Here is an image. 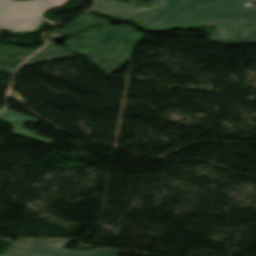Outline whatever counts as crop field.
I'll list each match as a JSON object with an SVG mask.
<instances>
[{
  "instance_id": "1",
  "label": "crop field",
  "mask_w": 256,
  "mask_h": 256,
  "mask_svg": "<svg viewBox=\"0 0 256 256\" xmlns=\"http://www.w3.org/2000/svg\"><path fill=\"white\" fill-rule=\"evenodd\" d=\"M145 35L129 25L90 29L69 41V49L84 55L105 73H113L129 61L136 43ZM88 59V60H89Z\"/></svg>"
},
{
  "instance_id": "2",
  "label": "crop field",
  "mask_w": 256,
  "mask_h": 256,
  "mask_svg": "<svg viewBox=\"0 0 256 256\" xmlns=\"http://www.w3.org/2000/svg\"><path fill=\"white\" fill-rule=\"evenodd\" d=\"M153 5L142 9L110 0H94L89 12L113 17L129 18L150 29L201 26V20L189 0H150Z\"/></svg>"
},
{
  "instance_id": "3",
  "label": "crop field",
  "mask_w": 256,
  "mask_h": 256,
  "mask_svg": "<svg viewBox=\"0 0 256 256\" xmlns=\"http://www.w3.org/2000/svg\"><path fill=\"white\" fill-rule=\"evenodd\" d=\"M204 25L256 22V0H191ZM252 6L247 7L243 3Z\"/></svg>"
},
{
  "instance_id": "4",
  "label": "crop field",
  "mask_w": 256,
  "mask_h": 256,
  "mask_svg": "<svg viewBox=\"0 0 256 256\" xmlns=\"http://www.w3.org/2000/svg\"><path fill=\"white\" fill-rule=\"evenodd\" d=\"M66 240H19L13 242L4 255L8 256H118L113 250H69L63 249Z\"/></svg>"
},
{
  "instance_id": "5",
  "label": "crop field",
  "mask_w": 256,
  "mask_h": 256,
  "mask_svg": "<svg viewBox=\"0 0 256 256\" xmlns=\"http://www.w3.org/2000/svg\"><path fill=\"white\" fill-rule=\"evenodd\" d=\"M39 21L38 0H0V30H35Z\"/></svg>"
},
{
  "instance_id": "6",
  "label": "crop field",
  "mask_w": 256,
  "mask_h": 256,
  "mask_svg": "<svg viewBox=\"0 0 256 256\" xmlns=\"http://www.w3.org/2000/svg\"><path fill=\"white\" fill-rule=\"evenodd\" d=\"M210 38L213 42L226 45L254 44L256 43V24L216 27Z\"/></svg>"
},
{
  "instance_id": "7",
  "label": "crop field",
  "mask_w": 256,
  "mask_h": 256,
  "mask_svg": "<svg viewBox=\"0 0 256 256\" xmlns=\"http://www.w3.org/2000/svg\"><path fill=\"white\" fill-rule=\"evenodd\" d=\"M36 50H23L0 45V72L14 74L18 65Z\"/></svg>"
},
{
  "instance_id": "8",
  "label": "crop field",
  "mask_w": 256,
  "mask_h": 256,
  "mask_svg": "<svg viewBox=\"0 0 256 256\" xmlns=\"http://www.w3.org/2000/svg\"><path fill=\"white\" fill-rule=\"evenodd\" d=\"M26 120H29L35 123L38 121L37 119L31 118L22 114H18L15 112L7 111V110H5L2 114H0V121L8 122L15 127L14 134L28 137L46 144H51L50 140L42 137H38L35 132L24 129L23 126Z\"/></svg>"
},
{
  "instance_id": "9",
  "label": "crop field",
  "mask_w": 256,
  "mask_h": 256,
  "mask_svg": "<svg viewBox=\"0 0 256 256\" xmlns=\"http://www.w3.org/2000/svg\"><path fill=\"white\" fill-rule=\"evenodd\" d=\"M71 56H75V55L59 46H56L50 43L46 45V47L43 48L42 50L35 53L32 57H30L27 61H25L20 67L40 63L42 61L61 59V58H66Z\"/></svg>"
},
{
  "instance_id": "10",
  "label": "crop field",
  "mask_w": 256,
  "mask_h": 256,
  "mask_svg": "<svg viewBox=\"0 0 256 256\" xmlns=\"http://www.w3.org/2000/svg\"><path fill=\"white\" fill-rule=\"evenodd\" d=\"M92 22H102V20L90 15L89 13L85 12L81 15H79L78 17H76L72 22H70L66 27L62 28V29H57V30H53L47 34L52 35V34H56L59 33L61 35L75 30L83 25H86L88 23H92Z\"/></svg>"
},
{
  "instance_id": "11",
  "label": "crop field",
  "mask_w": 256,
  "mask_h": 256,
  "mask_svg": "<svg viewBox=\"0 0 256 256\" xmlns=\"http://www.w3.org/2000/svg\"><path fill=\"white\" fill-rule=\"evenodd\" d=\"M68 1L69 0H41L40 3H41L42 13L56 7H61L67 4Z\"/></svg>"
},
{
  "instance_id": "12",
  "label": "crop field",
  "mask_w": 256,
  "mask_h": 256,
  "mask_svg": "<svg viewBox=\"0 0 256 256\" xmlns=\"http://www.w3.org/2000/svg\"><path fill=\"white\" fill-rule=\"evenodd\" d=\"M3 108H0V111L2 110Z\"/></svg>"
}]
</instances>
